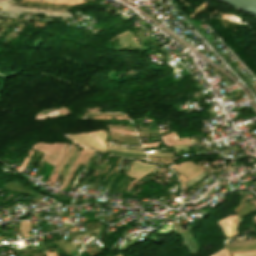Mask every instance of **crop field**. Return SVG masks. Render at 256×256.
I'll return each mask as SVG.
<instances>
[{
    "instance_id": "obj_1",
    "label": "crop field",
    "mask_w": 256,
    "mask_h": 256,
    "mask_svg": "<svg viewBox=\"0 0 256 256\" xmlns=\"http://www.w3.org/2000/svg\"><path fill=\"white\" fill-rule=\"evenodd\" d=\"M97 136H99L103 141H105L106 133L103 130L95 131L94 132ZM93 132L88 133L91 137H93L99 144H101L103 147H105V143L97 137ZM87 133L85 134H78V135H66L73 139L74 141L85 145L87 147L97 148L104 152H106V149H104L102 146H100L94 139H92Z\"/></svg>"
},
{
    "instance_id": "obj_2",
    "label": "crop field",
    "mask_w": 256,
    "mask_h": 256,
    "mask_svg": "<svg viewBox=\"0 0 256 256\" xmlns=\"http://www.w3.org/2000/svg\"><path fill=\"white\" fill-rule=\"evenodd\" d=\"M218 223L227 238L238 234L239 221L236 217L229 216Z\"/></svg>"
},
{
    "instance_id": "obj_3",
    "label": "crop field",
    "mask_w": 256,
    "mask_h": 256,
    "mask_svg": "<svg viewBox=\"0 0 256 256\" xmlns=\"http://www.w3.org/2000/svg\"><path fill=\"white\" fill-rule=\"evenodd\" d=\"M192 163L191 162L184 163L176 167L175 169L179 174H181L184 178L188 180L194 175H196L197 173H199L200 171H202L200 170L201 168L199 169L198 167H196L197 165L195 166Z\"/></svg>"
},
{
    "instance_id": "obj_4",
    "label": "crop field",
    "mask_w": 256,
    "mask_h": 256,
    "mask_svg": "<svg viewBox=\"0 0 256 256\" xmlns=\"http://www.w3.org/2000/svg\"><path fill=\"white\" fill-rule=\"evenodd\" d=\"M109 133H110V135H113V136H117V137H121V138H126V139H131V140H136V141H138V139H135V138H137V136H132V135H126V134H124L125 136L135 137V138H130V137L121 136L120 134H117V133H111V132H109ZM113 136H111L110 139H112V140L126 141V142H131V143H139V142H136V141L121 139V138H117V137H113Z\"/></svg>"
},
{
    "instance_id": "obj_5",
    "label": "crop field",
    "mask_w": 256,
    "mask_h": 256,
    "mask_svg": "<svg viewBox=\"0 0 256 256\" xmlns=\"http://www.w3.org/2000/svg\"><path fill=\"white\" fill-rule=\"evenodd\" d=\"M132 167H134V168H136V169H138V170H140V171H142V172H144V173H148V172H146V171H144V170H142V169H139V168H137V167H135V166H133L132 165ZM130 168V170L127 172V175H129V176H132V177H135V178H137V179H139V178H141L142 176H144L145 174L144 173H142V172H140V171H138V170H136V169H134V168Z\"/></svg>"
},
{
    "instance_id": "obj_6",
    "label": "crop field",
    "mask_w": 256,
    "mask_h": 256,
    "mask_svg": "<svg viewBox=\"0 0 256 256\" xmlns=\"http://www.w3.org/2000/svg\"><path fill=\"white\" fill-rule=\"evenodd\" d=\"M247 250L256 249V243L245 245ZM244 245L229 247L231 252L246 250Z\"/></svg>"
},
{
    "instance_id": "obj_7",
    "label": "crop field",
    "mask_w": 256,
    "mask_h": 256,
    "mask_svg": "<svg viewBox=\"0 0 256 256\" xmlns=\"http://www.w3.org/2000/svg\"><path fill=\"white\" fill-rule=\"evenodd\" d=\"M109 151L112 152V153L120 154V155H127V156H143V157H146V154L126 153V152L113 151V150H109ZM112 153H111V154H112ZM116 154H113V155H116ZM120 155H117V156H120ZM124 157H126V156H124ZM143 157H132V158H143Z\"/></svg>"
},
{
    "instance_id": "obj_8",
    "label": "crop field",
    "mask_w": 256,
    "mask_h": 256,
    "mask_svg": "<svg viewBox=\"0 0 256 256\" xmlns=\"http://www.w3.org/2000/svg\"><path fill=\"white\" fill-rule=\"evenodd\" d=\"M90 116H112V117H125V114H110V113H94V114H84Z\"/></svg>"
},
{
    "instance_id": "obj_9",
    "label": "crop field",
    "mask_w": 256,
    "mask_h": 256,
    "mask_svg": "<svg viewBox=\"0 0 256 256\" xmlns=\"http://www.w3.org/2000/svg\"><path fill=\"white\" fill-rule=\"evenodd\" d=\"M120 34H121V33H120ZM124 34H125V33H124ZM126 34H127L128 38H129V40H130L132 46H135V44H134V42H133V40H132L133 38L131 39L132 36L130 37L131 34L129 35V33H128L127 31H126ZM126 34H125V36H126ZM121 36H122V34H121ZM127 36H126V38H127ZM117 37H118V39H119V41H120L121 46H125L126 44L124 45L125 42L123 43V41H124L123 36H122L123 41H122L120 35H117ZM128 38H127V40H128ZM129 40H128V41H129ZM130 42H129V43H130ZM126 43H127V42H126ZM131 44H130V45H131ZM127 45H128V44H127Z\"/></svg>"
},
{
    "instance_id": "obj_10",
    "label": "crop field",
    "mask_w": 256,
    "mask_h": 256,
    "mask_svg": "<svg viewBox=\"0 0 256 256\" xmlns=\"http://www.w3.org/2000/svg\"><path fill=\"white\" fill-rule=\"evenodd\" d=\"M150 157H173V153H148Z\"/></svg>"
},
{
    "instance_id": "obj_11",
    "label": "crop field",
    "mask_w": 256,
    "mask_h": 256,
    "mask_svg": "<svg viewBox=\"0 0 256 256\" xmlns=\"http://www.w3.org/2000/svg\"><path fill=\"white\" fill-rule=\"evenodd\" d=\"M133 162L136 163V164H138V165H140V166H142V167H144V168H146V169H148V170H150V171H152V170H154V169L156 168V166L144 164V163H142V162H140V161H138V160H134ZM134 163H133V164H134ZM136 164H135V165H136ZM138 165H137V166H138ZM140 166H139V167H140Z\"/></svg>"
},
{
    "instance_id": "obj_12",
    "label": "crop field",
    "mask_w": 256,
    "mask_h": 256,
    "mask_svg": "<svg viewBox=\"0 0 256 256\" xmlns=\"http://www.w3.org/2000/svg\"><path fill=\"white\" fill-rule=\"evenodd\" d=\"M76 148L75 145H72L70 151L67 153L66 157L64 158L63 162L61 163L60 167L58 168V171H60V169L62 168V166L65 164V162L67 161V159L69 158V156L71 155V153L74 151V149Z\"/></svg>"
},
{
    "instance_id": "obj_13",
    "label": "crop field",
    "mask_w": 256,
    "mask_h": 256,
    "mask_svg": "<svg viewBox=\"0 0 256 256\" xmlns=\"http://www.w3.org/2000/svg\"><path fill=\"white\" fill-rule=\"evenodd\" d=\"M108 148L116 149V150H120V151H126V152H141V153H144V151H140V150H132V149L119 148V147H112V146H108Z\"/></svg>"
},
{
    "instance_id": "obj_14",
    "label": "crop field",
    "mask_w": 256,
    "mask_h": 256,
    "mask_svg": "<svg viewBox=\"0 0 256 256\" xmlns=\"http://www.w3.org/2000/svg\"><path fill=\"white\" fill-rule=\"evenodd\" d=\"M108 127H115V128H121V129H126L130 131H134L133 127L130 126H121V125H108ZM135 132V131H134Z\"/></svg>"
},
{
    "instance_id": "obj_15",
    "label": "crop field",
    "mask_w": 256,
    "mask_h": 256,
    "mask_svg": "<svg viewBox=\"0 0 256 256\" xmlns=\"http://www.w3.org/2000/svg\"><path fill=\"white\" fill-rule=\"evenodd\" d=\"M256 241V239H251V240H244L243 242L244 243H247V242H255ZM242 241H240V242H232V243H228L227 245L228 246H230V245H236V244H241V243H243Z\"/></svg>"
},
{
    "instance_id": "obj_16",
    "label": "crop field",
    "mask_w": 256,
    "mask_h": 256,
    "mask_svg": "<svg viewBox=\"0 0 256 256\" xmlns=\"http://www.w3.org/2000/svg\"><path fill=\"white\" fill-rule=\"evenodd\" d=\"M80 153H81V151H79V152L75 155L74 159H73V160L71 161V163L67 166L63 177L66 176V174H67V172H68L70 166L72 165L73 161L77 158V156H78Z\"/></svg>"
},
{
    "instance_id": "obj_17",
    "label": "crop field",
    "mask_w": 256,
    "mask_h": 256,
    "mask_svg": "<svg viewBox=\"0 0 256 256\" xmlns=\"http://www.w3.org/2000/svg\"><path fill=\"white\" fill-rule=\"evenodd\" d=\"M214 256H229V254H228V252H227V250L225 248L221 252L215 254Z\"/></svg>"
},
{
    "instance_id": "obj_18",
    "label": "crop field",
    "mask_w": 256,
    "mask_h": 256,
    "mask_svg": "<svg viewBox=\"0 0 256 256\" xmlns=\"http://www.w3.org/2000/svg\"><path fill=\"white\" fill-rule=\"evenodd\" d=\"M136 34H137V36L143 35L142 31L136 32ZM139 39H140L141 42L147 41L144 35L143 36H139Z\"/></svg>"
},
{
    "instance_id": "obj_19",
    "label": "crop field",
    "mask_w": 256,
    "mask_h": 256,
    "mask_svg": "<svg viewBox=\"0 0 256 256\" xmlns=\"http://www.w3.org/2000/svg\"><path fill=\"white\" fill-rule=\"evenodd\" d=\"M154 132H158V130H147V131H141V132H138V134L154 133Z\"/></svg>"
},
{
    "instance_id": "obj_20",
    "label": "crop field",
    "mask_w": 256,
    "mask_h": 256,
    "mask_svg": "<svg viewBox=\"0 0 256 256\" xmlns=\"http://www.w3.org/2000/svg\"><path fill=\"white\" fill-rule=\"evenodd\" d=\"M78 148V147H77ZM77 148L75 149V151L73 152V154L71 155V157L68 159V161L66 162V164H68L70 162V160L74 157V155L77 153Z\"/></svg>"
},
{
    "instance_id": "obj_21",
    "label": "crop field",
    "mask_w": 256,
    "mask_h": 256,
    "mask_svg": "<svg viewBox=\"0 0 256 256\" xmlns=\"http://www.w3.org/2000/svg\"><path fill=\"white\" fill-rule=\"evenodd\" d=\"M65 246H67L69 249H71V250H74V248L73 247H71L68 243H66V244H64ZM64 245H62L64 248H66ZM68 248H66L69 252L71 251V250H69Z\"/></svg>"
},
{
    "instance_id": "obj_22",
    "label": "crop field",
    "mask_w": 256,
    "mask_h": 256,
    "mask_svg": "<svg viewBox=\"0 0 256 256\" xmlns=\"http://www.w3.org/2000/svg\"><path fill=\"white\" fill-rule=\"evenodd\" d=\"M98 230H99V229L97 228V229H94V230L85 232V233H83V234L77 235V236H75L74 238H76V237H78V236H81V235H84V234H88V233L94 232V231H98Z\"/></svg>"
},
{
    "instance_id": "obj_23",
    "label": "crop field",
    "mask_w": 256,
    "mask_h": 256,
    "mask_svg": "<svg viewBox=\"0 0 256 256\" xmlns=\"http://www.w3.org/2000/svg\"><path fill=\"white\" fill-rule=\"evenodd\" d=\"M65 150H66V149H65ZM68 150H69V148H68ZM68 150H67V152H68ZM65 152H66V151H65ZM65 152H64V153H65ZM67 152H66V153H67ZM64 153H63V155H64ZM66 153H65V155H66ZM63 155H62V156H63ZM65 155H64V156H65ZM62 156H61V158H62ZM64 156H63V157H64ZM61 158L59 159V161L61 160ZM62 159H63V158H62ZM59 161L57 162V164L59 163ZM61 161H62V160H61ZM61 161H60V163H61ZM60 163L58 164V166L60 165ZM57 164H56V166H57ZM56 166H55V168H56ZM58 166H57V168H58Z\"/></svg>"
},
{
    "instance_id": "obj_24",
    "label": "crop field",
    "mask_w": 256,
    "mask_h": 256,
    "mask_svg": "<svg viewBox=\"0 0 256 256\" xmlns=\"http://www.w3.org/2000/svg\"><path fill=\"white\" fill-rule=\"evenodd\" d=\"M248 254H256V252H252V253H244V254H236V255H233V256H242V255H248Z\"/></svg>"
},
{
    "instance_id": "obj_25",
    "label": "crop field",
    "mask_w": 256,
    "mask_h": 256,
    "mask_svg": "<svg viewBox=\"0 0 256 256\" xmlns=\"http://www.w3.org/2000/svg\"><path fill=\"white\" fill-rule=\"evenodd\" d=\"M252 251H256V250H250L248 252H252ZM243 252H246V251H243ZM235 253H241V252H235ZM235 253H232V254H235Z\"/></svg>"
},
{
    "instance_id": "obj_26",
    "label": "crop field",
    "mask_w": 256,
    "mask_h": 256,
    "mask_svg": "<svg viewBox=\"0 0 256 256\" xmlns=\"http://www.w3.org/2000/svg\"><path fill=\"white\" fill-rule=\"evenodd\" d=\"M254 256H256V255H254Z\"/></svg>"
}]
</instances>
